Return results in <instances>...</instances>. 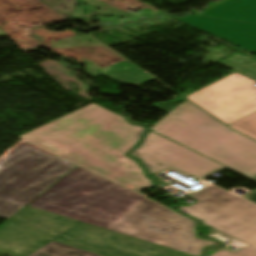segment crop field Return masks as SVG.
Wrapping results in <instances>:
<instances>
[{
    "instance_id": "crop-field-1",
    "label": "crop field",
    "mask_w": 256,
    "mask_h": 256,
    "mask_svg": "<svg viewBox=\"0 0 256 256\" xmlns=\"http://www.w3.org/2000/svg\"><path fill=\"white\" fill-rule=\"evenodd\" d=\"M144 131L91 103L19 138L139 191L155 182L126 153Z\"/></svg>"
},
{
    "instance_id": "crop-field-2",
    "label": "crop field",
    "mask_w": 256,
    "mask_h": 256,
    "mask_svg": "<svg viewBox=\"0 0 256 256\" xmlns=\"http://www.w3.org/2000/svg\"><path fill=\"white\" fill-rule=\"evenodd\" d=\"M145 198L78 167L29 206L108 229Z\"/></svg>"
},
{
    "instance_id": "crop-field-3",
    "label": "crop field",
    "mask_w": 256,
    "mask_h": 256,
    "mask_svg": "<svg viewBox=\"0 0 256 256\" xmlns=\"http://www.w3.org/2000/svg\"><path fill=\"white\" fill-rule=\"evenodd\" d=\"M151 129L248 177L256 175V141L231 131L187 100Z\"/></svg>"
},
{
    "instance_id": "crop-field-4",
    "label": "crop field",
    "mask_w": 256,
    "mask_h": 256,
    "mask_svg": "<svg viewBox=\"0 0 256 256\" xmlns=\"http://www.w3.org/2000/svg\"><path fill=\"white\" fill-rule=\"evenodd\" d=\"M75 165L23 142L0 160V217L8 219Z\"/></svg>"
},
{
    "instance_id": "crop-field-5",
    "label": "crop field",
    "mask_w": 256,
    "mask_h": 256,
    "mask_svg": "<svg viewBox=\"0 0 256 256\" xmlns=\"http://www.w3.org/2000/svg\"><path fill=\"white\" fill-rule=\"evenodd\" d=\"M195 227V222L146 198L109 230L196 256L207 246L221 245L197 237Z\"/></svg>"
},
{
    "instance_id": "crop-field-6",
    "label": "crop field",
    "mask_w": 256,
    "mask_h": 256,
    "mask_svg": "<svg viewBox=\"0 0 256 256\" xmlns=\"http://www.w3.org/2000/svg\"><path fill=\"white\" fill-rule=\"evenodd\" d=\"M192 197L199 202L178 210L256 247V205L215 186Z\"/></svg>"
},
{
    "instance_id": "crop-field-7",
    "label": "crop field",
    "mask_w": 256,
    "mask_h": 256,
    "mask_svg": "<svg viewBox=\"0 0 256 256\" xmlns=\"http://www.w3.org/2000/svg\"><path fill=\"white\" fill-rule=\"evenodd\" d=\"M255 84L234 73L186 98L228 125L256 111Z\"/></svg>"
},
{
    "instance_id": "crop-field-8",
    "label": "crop field",
    "mask_w": 256,
    "mask_h": 256,
    "mask_svg": "<svg viewBox=\"0 0 256 256\" xmlns=\"http://www.w3.org/2000/svg\"><path fill=\"white\" fill-rule=\"evenodd\" d=\"M130 155L140 159L149 173L175 168L200 179L223 167L152 131Z\"/></svg>"
},
{
    "instance_id": "crop-field-9",
    "label": "crop field",
    "mask_w": 256,
    "mask_h": 256,
    "mask_svg": "<svg viewBox=\"0 0 256 256\" xmlns=\"http://www.w3.org/2000/svg\"><path fill=\"white\" fill-rule=\"evenodd\" d=\"M177 18L256 54V24L212 19L194 15L187 18Z\"/></svg>"
},
{
    "instance_id": "crop-field-10",
    "label": "crop field",
    "mask_w": 256,
    "mask_h": 256,
    "mask_svg": "<svg viewBox=\"0 0 256 256\" xmlns=\"http://www.w3.org/2000/svg\"><path fill=\"white\" fill-rule=\"evenodd\" d=\"M190 11L196 15L256 22V0H220L207 4L203 11Z\"/></svg>"
},
{
    "instance_id": "crop-field-11",
    "label": "crop field",
    "mask_w": 256,
    "mask_h": 256,
    "mask_svg": "<svg viewBox=\"0 0 256 256\" xmlns=\"http://www.w3.org/2000/svg\"><path fill=\"white\" fill-rule=\"evenodd\" d=\"M30 256H100V255L78 250V249L52 241L47 245H45L44 247L40 248L37 252H35Z\"/></svg>"
},
{
    "instance_id": "crop-field-12",
    "label": "crop field",
    "mask_w": 256,
    "mask_h": 256,
    "mask_svg": "<svg viewBox=\"0 0 256 256\" xmlns=\"http://www.w3.org/2000/svg\"><path fill=\"white\" fill-rule=\"evenodd\" d=\"M229 126L256 140V112Z\"/></svg>"
},
{
    "instance_id": "crop-field-13",
    "label": "crop field",
    "mask_w": 256,
    "mask_h": 256,
    "mask_svg": "<svg viewBox=\"0 0 256 256\" xmlns=\"http://www.w3.org/2000/svg\"><path fill=\"white\" fill-rule=\"evenodd\" d=\"M143 256H192V255L151 244Z\"/></svg>"
},
{
    "instance_id": "crop-field-14",
    "label": "crop field",
    "mask_w": 256,
    "mask_h": 256,
    "mask_svg": "<svg viewBox=\"0 0 256 256\" xmlns=\"http://www.w3.org/2000/svg\"><path fill=\"white\" fill-rule=\"evenodd\" d=\"M211 256H256V249H254L250 246H247V247L240 249L234 253L221 251V252L216 253Z\"/></svg>"
},
{
    "instance_id": "crop-field-15",
    "label": "crop field",
    "mask_w": 256,
    "mask_h": 256,
    "mask_svg": "<svg viewBox=\"0 0 256 256\" xmlns=\"http://www.w3.org/2000/svg\"><path fill=\"white\" fill-rule=\"evenodd\" d=\"M254 179H256V178H254ZM243 197H245V198H247V199L256 203V190L247 194V195H245V196H243Z\"/></svg>"
},
{
    "instance_id": "crop-field-16",
    "label": "crop field",
    "mask_w": 256,
    "mask_h": 256,
    "mask_svg": "<svg viewBox=\"0 0 256 256\" xmlns=\"http://www.w3.org/2000/svg\"><path fill=\"white\" fill-rule=\"evenodd\" d=\"M0 36H6V35L0 30Z\"/></svg>"
}]
</instances>
